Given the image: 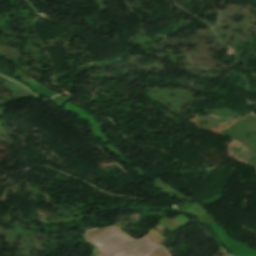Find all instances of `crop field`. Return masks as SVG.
<instances>
[{"mask_svg":"<svg viewBox=\"0 0 256 256\" xmlns=\"http://www.w3.org/2000/svg\"><path fill=\"white\" fill-rule=\"evenodd\" d=\"M113 226L115 225L91 230L85 233L84 238L86 241H88L95 247L99 246L100 247L99 249L108 256H145L146 254L151 252L153 249H155L157 246L161 245V243L165 239L151 229L145 236L149 237L159 245H157L152 240L144 236H143L144 238L141 237L142 239L139 238L140 240L137 239L138 241L133 238L134 240L137 241L136 242L133 239H131L132 238L131 236H130L131 238L128 237L129 235L128 236L125 235L126 233L125 234L122 233L117 228H115L116 226L115 227ZM88 239L91 240L93 243H95L97 246L93 244L91 241H89Z\"/></svg>","mask_w":256,"mask_h":256,"instance_id":"crop-field-1","label":"crop field"},{"mask_svg":"<svg viewBox=\"0 0 256 256\" xmlns=\"http://www.w3.org/2000/svg\"><path fill=\"white\" fill-rule=\"evenodd\" d=\"M200 222H202L205 225H210L216 220L206 211L203 214H201L199 217H197Z\"/></svg>","mask_w":256,"mask_h":256,"instance_id":"crop-field-2","label":"crop field"},{"mask_svg":"<svg viewBox=\"0 0 256 256\" xmlns=\"http://www.w3.org/2000/svg\"><path fill=\"white\" fill-rule=\"evenodd\" d=\"M147 256H170L165 249H163L161 246L158 247L156 250L148 254Z\"/></svg>","mask_w":256,"mask_h":256,"instance_id":"crop-field-3","label":"crop field"},{"mask_svg":"<svg viewBox=\"0 0 256 256\" xmlns=\"http://www.w3.org/2000/svg\"><path fill=\"white\" fill-rule=\"evenodd\" d=\"M96 256H105V255L99 252Z\"/></svg>","mask_w":256,"mask_h":256,"instance_id":"crop-field-4","label":"crop field"}]
</instances>
